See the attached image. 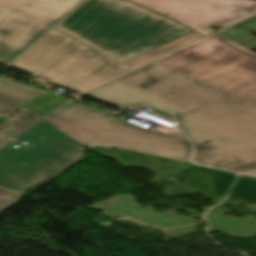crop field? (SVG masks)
Wrapping results in <instances>:
<instances>
[{"label":"crop field","instance_id":"8a807250","mask_svg":"<svg viewBox=\"0 0 256 256\" xmlns=\"http://www.w3.org/2000/svg\"><path fill=\"white\" fill-rule=\"evenodd\" d=\"M83 94L132 109L174 115L195 145L194 163L243 173L256 168V104L156 63Z\"/></svg>","mask_w":256,"mask_h":256},{"label":"crop field","instance_id":"ac0d7876","mask_svg":"<svg viewBox=\"0 0 256 256\" xmlns=\"http://www.w3.org/2000/svg\"><path fill=\"white\" fill-rule=\"evenodd\" d=\"M46 121L86 147L121 148L189 162L192 145L185 138L150 132L112 115L67 102Z\"/></svg>","mask_w":256,"mask_h":256},{"label":"crop field","instance_id":"34b2d1b8","mask_svg":"<svg viewBox=\"0 0 256 256\" xmlns=\"http://www.w3.org/2000/svg\"><path fill=\"white\" fill-rule=\"evenodd\" d=\"M176 23L123 0H88L56 29L105 53Z\"/></svg>","mask_w":256,"mask_h":256},{"label":"crop field","instance_id":"412701ff","mask_svg":"<svg viewBox=\"0 0 256 256\" xmlns=\"http://www.w3.org/2000/svg\"><path fill=\"white\" fill-rule=\"evenodd\" d=\"M154 62L256 103V54L217 34Z\"/></svg>","mask_w":256,"mask_h":256},{"label":"crop field","instance_id":"f4fd0767","mask_svg":"<svg viewBox=\"0 0 256 256\" xmlns=\"http://www.w3.org/2000/svg\"><path fill=\"white\" fill-rule=\"evenodd\" d=\"M15 140H26L36 150L6 146L0 151L2 188L24 193L52 171H65L84 159V146L43 119Z\"/></svg>","mask_w":256,"mask_h":256},{"label":"crop field","instance_id":"dd49c442","mask_svg":"<svg viewBox=\"0 0 256 256\" xmlns=\"http://www.w3.org/2000/svg\"><path fill=\"white\" fill-rule=\"evenodd\" d=\"M87 0H0V62L12 65Z\"/></svg>","mask_w":256,"mask_h":256},{"label":"crop field","instance_id":"e52e79f7","mask_svg":"<svg viewBox=\"0 0 256 256\" xmlns=\"http://www.w3.org/2000/svg\"><path fill=\"white\" fill-rule=\"evenodd\" d=\"M206 35L208 25L231 24L256 13V0H132Z\"/></svg>","mask_w":256,"mask_h":256},{"label":"crop field","instance_id":"d8731c3e","mask_svg":"<svg viewBox=\"0 0 256 256\" xmlns=\"http://www.w3.org/2000/svg\"><path fill=\"white\" fill-rule=\"evenodd\" d=\"M129 69L89 47L49 78L58 85L83 91Z\"/></svg>","mask_w":256,"mask_h":256},{"label":"crop field","instance_id":"5a996713","mask_svg":"<svg viewBox=\"0 0 256 256\" xmlns=\"http://www.w3.org/2000/svg\"><path fill=\"white\" fill-rule=\"evenodd\" d=\"M87 47L55 29L13 66L49 77Z\"/></svg>","mask_w":256,"mask_h":256},{"label":"crop field","instance_id":"3316defc","mask_svg":"<svg viewBox=\"0 0 256 256\" xmlns=\"http://www.w3.org/2000/svg\"><path fill=\"white\" fill-rule=\"evenodd\" d=\"M189 32L192 31L177 23L110 55L125 62Z\"/></svg>","mask_w":256,"mask_h":256},{"label":"crop field","instance_id":"28ad6ade","mask_svg":"<svg viewBox=\"0 0 256 256\" xmlns=\"http://www.w3.org/2000/svg\"><path fill=\"white\" fill-rule=\"evenodd\" d=\"M40 92L0 76V116L8 118Z\"/></svg>","mask_w":256,"mask_h":256},{"label":"crop field","instance_id":"d1516ede","mask_svg":"<svg viewBox=\"0 0 256 256\" xmlns=\"http://www.w3.org/2000/svg\"><path fill=\"white\" fill-rule=\"evenodd\" d=\"M38 118L35 114L24 108L15 116L5 121L0 126V147L30 126Z\"/></svg>","mask_w":256,"mask_h":256},{"label":"crop field","instance_id":"22f410ed","mask_svg":"<svg viewBox=\"0 0 256 256\" xmlns=\"http://www.w3.org/2000/svg\"><path fill=\"white\" fill-rule=\"evenodd\" d=\"M200 37H202V36L195 33V32L189 33V34H187L183 37H180V38H178L174 41H171V42H169V43H167V44H165V45H163V46H161V47H159V48H157V49H155L151 52H148V53H146L144 55H141L137 58L129 60L125 63L134 67V68H136V67H138V66H140V65H142V64H144V63H146V62H148V61H150L154 58H157V57H159V56H161V55H163L167 52H170V51H172V50H174V49H176L180 46H183V45H185V44H187L191 41H194V40H196Z\"/></svg>","mask_w":256,"mask_h":256},{"label":"crop field","instance_id":"cbeb9de0","mask_svg":"<svg viewBox=\"0 0 256 256\" xmlns=\"http://www.w3.org/2000/svg\"><path fill=\"white\" fill-rule=\"evenodd\" d=\"M22 193L0 188V213L18 202Z\"/></svg>","mask_w":256,"mask_h":256},{"label":"crop field","instance_id":"5142ce71","mask_svg":"<svg viewBox=\"0 0 256 256\" xmlns=\"http://www.w3.org/2000/svg\"><path fill=\"white\" fill-rule=\"evenodd\" d=\"M229 29L256 34V16L236 24Z\"/></svg>","mask_w":256,"mask_h":256},{"label":"crop field","instance_id":"d9b57169","mask_svg":"<svg viewBox=\"0 0 256 256\" xmlns=\"http://www.w3.org/2000/svg\"><path fill=\"white\" fill-rule=\"evenodd\" d=\"M24 149H28V150H32V151L35 150L34 146L31 144H28L27 146H25Z\"/></svg>","mask_w":256,"mask_h":256},{"label":"crop field","instance_id":"733c2abd","mask_svg":"<svg viewBox=\"0 0 256 256\" xmlns=\"http://www.w3.org/2000/svg\"><path fill=\"white\" fill-rule=\"evenodd\" d=\"M246 175L256 177V171L245 173Z\"/></svg>","mask_w":256,"mask_h":256},{"label":"crop field","instance_id":"4a817a6b","mask_svg":"<svg viewBox=\"0 0 256 256\" xmlns=\"http://www.w3.org/2000/svg\"><path fill=\"white\" fill-rule=\"evenodd\" d=\"M5 120V118H0V123L2 122V121H4Z\"/></svg>","mask_w":256,"mask_h":256}]
</instances>
